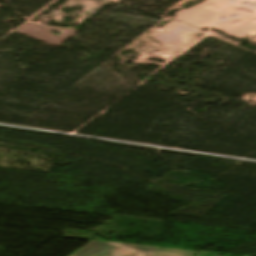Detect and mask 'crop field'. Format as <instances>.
<instances>
[{"label":"crop field","mask_w":256,"mask_h":256,"mask_svg":"<svg viewBox=\"0 0 256 256\" xmlns=\"http://www.w3.org/2000/svg\"><path fill=\"white\" fill-rule=\"evenodd\" d=\"M193 256L191 252L91 241L70 256Z\"/></svg>","instance_id":"1"}]
</instances>
